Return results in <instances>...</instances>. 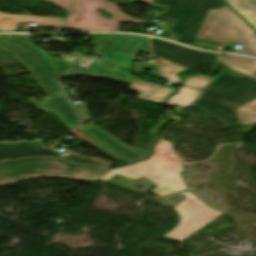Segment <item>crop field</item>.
Returning a JSON list of instances; mask_svg holds the SVG:
<instances>
[{"label": "crop field", "mask_w": 256, "mask_h": 256, "mask_svg": "<svg viewBox=\"0 0 256 256\" xmlns=\"http://www.w3.org/2000/svg\"><path fill=\"white\" fill-rule=\"evenodd\" d=\"M42 146L43 145L35 142H20L14 144L0 143V160L34 156H51L58 157L72 163L90 164L101 168H107L110 164L109 162L97 158L84 157L76 154H71L68 157H61L58 155V152L44 149Z\"/></svg>", "instance_id": "obj_10"}, {"label": "crop field", "mask_w": 256, "mask_h": 256, "mask_svg": "<svg viewBox=\"0 0 256 256\" xmlns=\"http://www.w3.org/2000/svg\"><path fill=\"white\" fill-rule=\"evenodd\" d=\"M74 134L77 135L79 138L83 139L84 141L90 143L92 146L96 145L94 142H92L88 138H86L82 133L74 132Z\"/></svg>", "instance_id": "obj_23"}, {"label": "crop field", "mask_w": 256, "mask_h": 256, "mask_svg": "<svg viewBox=\"0 0 256 256\" xmlns=\"http://www.w3.org/2000/svg\"><path fill=\"white\" fill-rule=\"evenodd\" d=\"M222 4L219 0H154L152 5L166 7L155 17L175 20L169 31L180 35L178 42L192 45L207 11Z\"/></svg>", "instance_id": "obj_7"}, {"label": "crop field", "mask_w": 256, "mask_h": 256, "mask_svg": "<svg viewBox=\"0 0 256 256\" xmlns=\"http://www.w3.org/2000/svg\"><path fill=\"white\" fill-rule=\"evenodd\" d=\"M155 57V56H154ZM160 70L163 73L164 79L169 81V82H174V83H179L180 82V78H178L177 76H175L178 72L180 71H184L187 68L181 67L179 65H176L172 62H169L167 60H164L162 58L159 57H155Z\"/></svg>", "instance_id": "obj_20"}, {"label": "crop field", "mask_w": 256, "mask_h": 256, "mask_svg": "<svg viewBox=\"0 0 256 256\" xmlns=\"http://www.w3.org/2000/svg\"><path fill=\"white\" fill-rule=\"evenodd\" d=\"M196 38L199 39L194 43L197 48L209 49V45L200 39L239 43L242 44L239 53L256 56V34L226 5L209 10Z\"/></svg>", "instance_id": "obj_6"}, {"label": "crop field", "mask_w": 256, "mask_h": 256, "mask_svg": "<svg viewBox=\"0 0 256 256\" xmlns=\"http://www.w3.org/2000/svg\"><path fill=\"white\" fill-rule=\"evenodd\" d=\"M131 89L142 92L138 96L139 99L158 103H163L165 98L174 92V89L150 84L138 79H133Z\"/></svg>", "instance_id": "obj_15"}, {"label": "crop field", "mask_w": 256, "mask_h": 256, "mask_svg": "<svg viewBox=\"0 0 256 256\" xmlns=\"http://www.w3.org/2000/svg\"><path fill=\"white\" fill-rule=\"evenodd\" d=\"M67 18L14 15L0 12V31H15L19 22L38 23L44 26L64 27Z\"/></svg>", "instance_id": "obj_14"}, {"label": "crop field", "mask_w": 256, "mask_h": 256, "mask_svg": "<svg viewBox=\"0 0 256 256\" xmlns=\"http://www.w3.org/2000/svg\"><path fill=\"white\" fill-rule=\"evenodd\" d=\"M42 100L43 103L29 99L39 110L56 113L70 130L78 126L79 119L63 95L42 98Z\"/></svg>", "instance_id": "obj_13"}, {"label": "crop field", "mask_w": 256, "mask_h": 256, "mask_svg": "<svg viewBox=\"0 0 256 256\" xmlns=\"http://www.w3.org/2000/svg\"><path fill=\"white\" fill-rule=\"evenodd\" d=\"M217 55V61L244 75L254 77L256 73V60L239 56Z\"/></svg>", "instance_id": "obj_16"}, {"label": "crop field", "mask_w": 256, "mask_h": 256, "mask_svg": "<svg viewBox=\"0 0 256 256\" xmlns=\"http://www.w3.org/2000/svg\"><path fill=\"white\" fill-rule=\"evenodd\" d=\"M182 195L187 199L173 207L179 216L178 227L163 237L179 242L184 241L222 214L209 209L189 192Z\"/></svg>", "instance_id": "obj_9"}, {"label": "crop field", "mask_w": 256, "mask_h": 256, "mask_svg": "<svg viewBox=\"0 0 256 256\" xmlns=\"http://www.w3.org/2000/svg\"><path fill=\"white\" fill-rule=\"evenodd\" d=\"M154 150V155L148 160L112 170L100 180L108 181L116 174L133 180L144 175L157 184V188L152 191L158 196L186 190L187 187L181 178L183 165L173 152L171 143L159 139Z\"/></svg>", "instance_id": "obj_3"}, {"label": "crop field", "mask_w": 256, "mask_h": 256, "mask_svg": "<svg viewBox=\"0 0 256 256\" xmlns=\"http://www.w3.org/2000/svg\"><path fill=\"white\" fill-rule=\"evenodd\" d=\"M108 171L52 158L0 161V185L43 176L96 182Z\"/></svg>", "instance_id": "obj_4"}, {"label": "crop field", "mask_w": 256, "mask_h": 256, "mask_svg": "<svg viewBox=\"0 0 256 256\" xmlns=\"http://www.w3.org/2000/svg\"><path fill=\"white\" fill-rule=\"evenodd\" d=\"M256 79V77L254 78ZM242 132L247 134L256 127V99L237 109Z\"/></svg>", "instance_id": "obj_18"}, {"label": "crop field", "mask_w": 256, "mask_h": 256, "mask_svg": "<svg viewBox=\"0 0 256 256\" xmlns=\"http://www.w3.org/2000/svg\"><path fill=\"white\" fill-rule=\"evenodd\" d=\"M214 79L202 75H197L194 77H187L182 83L184 85L193 86L198 89H205Z\"/></svg>", "instance_id": "obj_21"}, {"label": "crop field", "mask_w": 256, "mask_h": 256, "mask_svg": "<svg viewBox=\"0 0 256 256\" xmlns=\"http://www.w3.org/2000/svg\"><path fill=\"white\" fill-rule=\"evenodd\" d=\"M79 131L98 143L96 148L126 163L142 160L151 153L147 150L129 147L94 125L85 126Z\"/></svg>", "instance_id": "obj_11"}, {"label": "crop field", "mask_w": 256, "mask_h": 256, "mask_svg": "<svg viewBox=\"0 0 256 256\" xmlns=\"http://www.w3.org/2000/svg\"><path fill=\"white\" fill-rule=\"evenodd\" d=\"M256 30V0H226Z\"/></svg>", "instance_id": "obj_17"}, {"label": "crop field", "mask_w": 256, "mask_h": 256, "mask_svg": "<svg viewBox=\"0 0 256 256\" xmlns=\"http://www.w3.org/2000/svg\"><path fill=\"white\" fill-rule=\"evenodd\" d=\"M100 36H101V35H90V37L93 38V41H94V42H97V41L99 40Z\"/></svg>", "instance_id": "obj_24"}, {"label": "crop field", "mask_w": 256, "mask_h": 256, "mask_svg": "<svg viewBox=\"0 0 256 256\" xmlns=\"http://www.w3.org/2000/svg\"><path fill=\"white\" fill-rule=\"evenodd\" d=\"M199 95H200V92L198 90H195L189 87H182L177 92L176 95L172 96L168 100L167 104L172 106L186 107L193 100H195Z\"/></svg>", "instance_id": "obj_19"}, {"label": "crop field", "mask_w": 256, "mask_h": 256, "mask_svg": "<svg viewBox=\"0 0 256 256\" xmlns=\"http://www.w3.org/2000/svg\"><path fill=\"white\" fill-rule=\"evenodd\" d=\"M153 55L162 57L174 63L187 68H193L208 63L216 62V55L213 53H204L179 45L164 42L151 38Z\"/></svg>", "instance_id": "obj_12"}, {"label": "crop field", "mask_w": 256, "mask_h": 256, "mask_svg": "<svg viewBox=\"0 0 256 256\" xmlns=\"http://www.w3.org/2000/svg\"><path fill=\"white\" fill-rule=\"evenodd\" d=\"M53 3L69 13L74 0H44Z\"/></svg>", "instance_id": "obj_22"}, {"label": "crop field", "mask_w": 256, "mask_h": 256, "mask_svg": "<svg viewBox=\"0 0 256 256\" xmlns=\"http://www.w3.org/2000/svg\"><path fill=\"white\" fill-rule=\"evenodd\" d=\"M153 0H143L151 4ZM96 9L106 10L113 19L104 18ZM80 18V21L76 20ZM143 23L121 12L116 4L105 0H75L64 28L78 30L119 31V22Z\"/></svg>", "instance_id": "obj_8"}, {"label": "crop field", "mask_w": 256, "mask_h": 256, "mask_svg": "<svg viewBox=\"0 0 256 256\" xmlns=\"http://www.w3.org/2000/svg\"><path fill=\"white\" fill-rule=\"evenodd\" d=\"M0 48L11 52L32 72L38 86L48 96L61 94L56 79L73 63L51 57L46 52L33 46L25 35L0 36Z\"/></svg>", "instance_id": "obj_5"}, {"label": "crop field", "mask_w": 256, "mask_h": 256, "mask_svg": "<svg viewBox=\"0 0 256 256\" xmlns=\"http://www.w3.org/2000/svg\"><path fill=\"white\" fill-rule=\"evenodd\" d=\"M138 52L149 53L147 37L134 35H104L95 54L102 56L98 63H91L86 71L74 69L68 76L83 75L91 78L103 77L131 85L129 71ZM120 66L127 72L120 71Z\"/></svg>", "instance_id": "obj_2"}, {"label": "crop field", "mask_w": 256, "mask_h": 256, "mask_svg": "<svg viewBox=\"0 0 256 256\" xmlns=\"http://www.w3.org/2000/svg\"><path fill=\"white\" fill-rule=\"evenodd\" d=\"M256 98V80L221 74L192 106L219 119L225 126L239 125L236 108Z\"/></svg>", "instance_id": "obj_1"}]
</instances>
